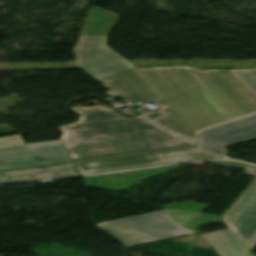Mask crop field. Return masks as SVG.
<instances>
[{"label": "crop field", "mask_w": 256, "mask_h": 256, "mask_svg": "<svg viewBox=\"0 0 256 256\" xmlns=\"http://www.w3.org/2000/svg\"><path fill=\"white\" fill-rule=\"evenodd\" d=\"M71 109L80 120L58 129L73 161L195 146L144 115L128 120L102 105Z\"/></svg>", "instance_id": "crop-field-2"}, {"label": "crop field", "mask_w": 256, "mask_h": 256, "mask_svg": "<svg viewBox=\"0 0 256 256\" xmlns=\"http://www.w3.org/2000/svg\"><path fill=\"white\" fill-rule=\"evenodd\" d=\"M256 139V115L203 131L196 139L203 149L228 155L226 146Z\"/></svg>", "instance_id": "crop-field-8"}, {"label": "crop field", "mask_w": 256, "mask_h": 256, "mask_svg": "<svg viewBox=\"0 0 256 256\" xmlns=\"http://www.w3.org/2000/svg\"><path fill=\"white\" fill-rule=\"evenodd\" d=\"M116 17V14L92 7L74 49L77 67L85 69L97 80L135 67L106 46L107 35L117 22Z\"/></svg>", "instance_id": "crop-field-3"}, {"label": "crop field", "mask_w": 256, "mask_h": 256, "mask_svg": "<svg viewBox=\"0 0 256 256\" xmlns=\"http://www.w3.org/2000/svg\"><path fill=\"white\" fill-rule=\"evenodd\" d=\"M170 114L164 115L161 117L153 118L156 122L161 124L162 126L171 129L173 131H176L178 133L184 134L186 136H189L193 139H196L198 136H196L192 130L175 114V112L169 107H165ZM169 120H172L173 123H170Z\"/></svg>", "instance_id": "crop-field-12"}, {"label": "crop field", "mask_w": 256, "mask_h": 256, "mask_svg": "<svg viewBox=\"0 0 256 256\" xmlns=\"http://www.w3.org/2000/svg\"><path fill=\"white\" fill-rule=\"evenodd\" d=\"M256 98V68L249 70H230Z\"/></svg>", "instance_id": "crop-field-13"}, {"label": "crop field", "mask_w": 256, "mask_h": 256, "mask_svg": "<svg viewBox=\"0 0 256 256\" xmlns=\"http://www.w3.org/2000/svg\"><path fill=\"white\" fill-rule=\"evenodd\" d=\"M26 146L20 134L0 138V149Z\"/></svg>", "instance_id": "crop-field-15"}, {"label": "crop field", "mask_w": 256, "mask_h": 256, "mask_svg": "<svg viewBox=\"0 0 256 256\" xmlns=\"http://www.w3.org/2000/svg\"><path fill=\"white\" fill-rule=\"evenodd\" d=\"M195 212L167 209L142 216L113 220L96 226L125 247L197 233L181 227Z\"/></svg>", "instance_id": "crop-field-4"}, {"label": "crop field", "mask_w": 256, "mask_h": 256, "mask_svg": "<svg viewBox=\"0 0 256 256\" xmlns=\"http://www.w3.org/2000/svg\"><path fill=\"white\" fill-rule=\"evenodd\" d=\"M100 81L130 103L148 104L161 100L139 75L130 70Z\"/></svg>", "instance_id": "crop-field-9"}, {"label": "crop field", "mask_w": 256, "mask_h": 256, "mask_svg": "<svg viewBox=\"0 0 256 256\" xmlns=\"http://www.w3.org/2000/svg\"><path fill=\"white\" fill-rule=\"evenodd\" d=\"M207 223H223L221 218L217 215L201 213L194 220H192L186 227L197 230L200 226Z\"/></svg>", "instance_id": "crop-field-14"}, {"label": "crop field", "mask_w": 256, "mask_h": 256, "mask_svg": "<svg viewBox=\"0 0 256 256\" xmlns=\"http://www.w3.org/2000/svg\"><path fill=\"white\" fill-rule=\"evenodd\" d=\"M131 70L139 74L196 135L256 114V99L229 70L199 71L188 66Z\"/></svg>", "instance_id": "crop-field-1"}, {"label": "crop field", "mask_w": 256, "mask_h": 256, "mask_svg": "<svg viewBox=\"0 0 256 256\" xmlns=\"http://www.w3.org/2000/svg\"><path fill=\"white\" fill-rule=\"evenodd\" d=\"M211 158H223L201 151L197 148L178 149L162 152L147 153L141 155L116 157L109 159L93 160L76 163L81 175L99 173L105 171L130 169L138 167L174 164L206 160Z\"/></svg>", "instance_id": "crop-field-5"}, {"label": "crop field", "mask_w": 256, "mask_h": 256, "mask_svg": "<svg viewBox=\"0 0 256 256\" xmlns=\"http://www.w3.org/2000/svg\"><path fill=\"white\" fill-rule=\"evenodd\" d=\"M0 150V170L72 161L62 140Z\"/></svg>", "instance_id": "crop-field-6"}, {"label": "crop field", "mask_w": 256, "mask_h": 256, "mask_svg": "<svg viewBox=\"0 0 256 256\" xmlns=\"http://www.w3.org/2000/svg\"><path fill=\"white\" fill-rule=\"evenodd\" d=\"M245 173L256 176V166H251ZM222 221L251 250L256 245V178L244 190Z\"/></svg>", "instance_id": "crop-field-7"}, {"label": "crop field", "mask_w": 256, "mask_h": 256, "mask_svg": "<svg viewBox=\"0 0 256 256\" xmlns=\"http://www.w3.org/2000/svg\"><path fill=\"white\" fill-rule=\"evenodd\" d=\"M201 236L220 256H255L232 232H212Z\"/></svg>", "instance_id": "crop-field-11"}, {"label": "crop field", "mask_w": 256, "mask_h": 256, "mask_svg": "<svg viewBox=\"0 0 256 256\" xmlns=\"http://www.w3.org/2000/svg\"><path fill=\"white\" fill-rule=\"evenodd\" d=\"M75 175H80L75 163H66L0 172V184L27 180L64 178Z\"/></svg>", "instance_id": "crop-field-10"}, {"label": "crop field", "mask_w": 256, "mask_h": 256, "mask_svg": "<svg viewBox=\"0 0 256 256\" xmlns=\"http://www.w3.org/2000/svg\"><path fill=\"white\" fill-rule=\"evenodd\" d=\"M221 166H230V167H239V168H245L248 166V164L236 162V161H214V162H209Z\"/></svg>", "instance_id": "crop-field-16"}]
</instances>
